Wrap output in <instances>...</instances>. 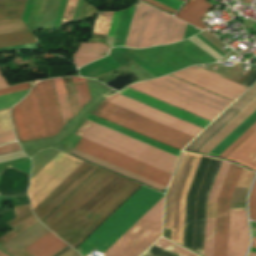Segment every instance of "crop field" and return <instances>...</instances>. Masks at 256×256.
<instances>
[{
	"mask_svg": "<svg viewBox=\"0 0 256 256\" xmlns=\"http://www.w3.org/2000/svg\"><path fill=\"white\" fill-rule=\"evenodd\" d=\"M251 227L256 228V223L251 222Z\"/></svg>",
	"mask_w": 256,
	"mask_h": 256,
	"instance_id": "crop-field-48",
	"label": "crop field"
},
{
	"mask_svg": "<svg viewBox=\"0 0 256 256\" xmlns=\"http://www.w3.org/2000/svg\"><path fill=\"white\" fill-rule=\"evenodd\" d=\"M255 96L256 85L253 86L242 98H240L230 109H228L217 121H215L186 149L195 151L197 148H199ZM255 110L256 97L253 98L242 110H240L230 121H228L217 133H215L195 152L208 154Z\"/></svg>",
	"mask_w": 256,
	"mask_h": 256,
	"instance_id": "crop-field-7",
	"label": "crop field"
},
{
	"mask_svg": "<svg viewBox=\"0 0 256 256\" xmlns=\"http://www.w3.org/2000/svg\"><path fill=\"white\" fill-rule=\"evenodd\" d=\"M186 25L172 16L139 2L136 5L125 46L146 48L180 41L183 39Z\"/></svg>",
	"mask_w": 256,
	"mask_h": 256,
	"instance_id": "crop-field-5",
	"label": "crop field"
},
{
	"mask_svg": "<svg viewBox=\"0 0 256 256\" xmlns=\"http://www.w3.org/2000/svg\"><path fill=\"white\" fill-rule=\"evenodd\" d=\"M86 119L91 120V121H93V122H96V123H98V124H101V125H103V126H106V127L110 128V129H113V130L118 131V132H120V133H123V134H125V135H128V136H130V137H133V138H135V139H138V140H140V141H143V142H145V143H148V144H150V145H153V146H155V147H157V148H160V149H162V150H165V151L170 152V153H172V154H175V155H177V156H178L179 153H180V152L177 151V150H174V149H172V148H170V147H167V146H165V145H162V144H160V143H157V142H155V141H153V140H150V139H148V138H145V137H143V136H141V135H138V134H136V133H133V132H131V131H128V130H126V129H124V128H121V127H119V126H116V125H114V124H111V123H109V122H107V121H104V120H102V119H99V118H97V117H95V116H92V115H90V114L87 115Z\"/></svg>",
	"mask_w": 256,
	"mask_h": 256,
	"instance_id": "crop-field-29",
	"label": "crop field"
},
{
	"mask_svg": "<svg viewBox=\"0 0 256 256\" xmlns=\"http://www.w3.org/2000/svg\"><path fill=\"white\" fill-rule=\"evenodd\" d=\"M47 135L57 134L62 128V122L58 111L51 80L47 79L35 85Z\"/></svg>",
	"mask_w": 256,
	"mask_h": 256,
	"instance_id": "crop-field-16",
	"label": "crop field"
},
{
	"mask_svg": "<svg viewBox=\"0 0 256 256\" xmlns=\"http://www.w3.org/2000/svg\"><path fill=\"white\" fill-rule=\"evenodd\" d=\"M248 244L245 210L230 209L227 256H244Z\"/></svg>",
	"mask_w": 256,
	"mask_h": 256,
	"instance_id": "crop-field-17",
	"label": "crop field"
},
{
	"mask_svg": "<svg viewBox=\"0 0 256 256\" xmlns=\"http://www.w3.org/2000/svg\"><path fill=\"white\" fill-rule=\"evenodd\" d=\"M244 3L251 4L252 0H243Z\"/></svg>",
	"mask_w": 256,
	"mask_h": 256,
	"instance_id": "crop-field-47",
	"label": "crop field"
},
{
	"mask_svg": "<svg viewBox=\"0 0 256 256\" xmlns=\"http://www.w3.org/2000/svg\"><path fill=\"white\" fill-rule=\"evenodd\" d=\"M248 256H256V253L250 252Z\"/></svg>",
	"mask_w": 256,
	"mask_h": 256,
	"instance_id": "crop-field-49",
	"label": "crop field"
},
{
	"mask_svg": "<svg viewBox=\"0 0 256 256\" xmlns=\"http://www.w3.org/2000/svg\"><path fill=\"white\" fill-rule=\"evenodd\" d=\"M204 157V156H203ZM206 158H208V157H206ZM209 159H212V158H209ZM214 160H216V159H214ZM218 161H220V160H218ZM195 252V251H194ZM197 253V252H196Z\"/></svg>",
	"mask_w": 256,
	"mask_h": 256,
	"instance_id": "crop-field-54",
	"label": "crop field"
},
{
	"mask_svg": "<svg viewBox=\"0 0 256 256\" xmlns=\"http://www.w3.org/2000/svg\"><path fill=\"white\" fill-rule=\"evenodd\" d=\"M249 209L251 220L256 221V181L252 187L250 198H249Z\"/></svg>",
	"mask_w": 256,
	"mask_h": 256,
	"instance_id": "crop-field-40",
	"label": "crop field"
},
{
	"mask_svg": "<svg viewBox=\"0 0 256 256\" xmlns=\"http://www.w3.org/2000/svg\"><path fill=\"white\" fill-rule=\"evenodd\" d=\"M26 0H0V21L22 17Z\"/></svg>",
	"mask_w": 256,
	"mask_h": 256,
	"instance_id": "crop-field-30",
	"label": "crop field"
},
{
	"mask_svg": "<svg viewBox=\"0 0 256 256\" xmlns=\"http://www.w3.org/2000/svg\"><path fill=\"white\" fill-rule=\"evenodd\" d=\"M82 161L60 152L31 179L28 195L34 209L46 198Z\"/></svg>",
	"mask_w": 256,
	"mask_h": 256,
	"instance_id": "crop-field-8",
	"label": "crop field"
},
{
	"mask_svg": "<svg viewBox=\"0 0 256 256\" xmlns=\"http://www.w3.org/2000/svg\"><path fill=\"white\" fill-rule=\"evenodd\" d=\"M226 159L233 160L237 163L256 170V132H254Z\"/></svg>",
	"mask_w": 256,
	"mask_h": 256,
	"instance_id": "crop-field-24",
	"label": "crop field"
},
{
	"mask_svg": "<svg viewBox=\"0 0 256 256\" xmlns=\"http://www.w3.org/2000/svg\"><path fill=\"white\" fill-rule=\"evenodd\" d=\"M113 12H99L92 33L107 36Z\"/></svg>",
	"mask_w": 256,
	"mask_h": 256,
	"instance_id": "crop-field-34",
	"label": "crop field"
},
{
	"mask_svg": "<svg viewBox=\"0 0 256 256\" xmlns=\"http://www.w3.org/2000/svg\"><path fill=\"white\" fill-rule=\"evenodd\" d=\"M54 88L56 91L58 103L60 106L61 114L63 117L64 125L65 123L72 118L63 79L62 78H57V79H52Z\"/></svg>",
	"mask_w": 256,
	"mask_h": 256,
	"instance_id": "crop-field-32",
	"label": "crop field"
},
{
	"mask_svg": "<svg viewBox=\"0 0 256 256\" xmlns=\"http://www.w3.org/2000/svg\"><path fill=\"white\" fill-rule=\"evenodd\" d=\"M5 86H8L7 82L5 81L2 73L0 72V88L1 87H5Z\"/></svg>",
	"mask_w": 256,
	"mask_h": 256,
	"instance_id": "crop-field-46",
	"label": "crop field"
},
{
	"mask_svg": "<svg viewBox=\"0 0 256 256\" xmlns=\"http://www.w3.org/2000/svg\"><path fill=\"white\" fill-rule=\"evenodd\" d=\"M105 101L115 104L119 107L147 117L151 120L179 130L183 133L195 137L202 129L166 115L155 109L123 97L119 94L105 99ZM102 101L92 112L96 116L149 136L162 143L177 149L183 147L193 139V137L183 134L179 131L151 121L147 118L119 108L115 105Z\"/></svg>",
	"mask_w": 256,
	"mask_h": 256,
	"instance_id": "crop-field-3",
	"label": "crop field"
},
{
	"mask_svg": "<svg viewBox=\"0 0 256 256\" xmlns=\"http://www.w3.org/2000/svg\"><path fill=\"white\" fill-rule=\"evenodd\" d=\"M75 149L167 186L172 175L81 138Z\"/></svg>",
	"mask_w": 256,
	"mask_h": 256,
	"instance_id": "crop-field-9",
	"label": "crop field"
},
{
	"mask_svg": "<svg viewBox=\"0 0 256 256\" xmlns=\"http://www.w3.org/2000/svg\"><path fill=\"white\" fill-rule=\"evenodd\" d=\"M72 79L76 91L79 108L81 109L89 101H91L87 81L85 78L81 77H72Z\"/></svg>",
	"mask_w": 256,
	"mask_h": 256,
	"instance_id": "crop-field-33",
	"label": "crop field"
},
{
	"mask_svg": "<svg viewBox=\"0 0 256 256\" xmlns=\"http://www.w3.org/2000/svg\"><path fill=\"white\" fill-rule=\"evenodd\" d=\"M66 245L51 232L25 249L33 256H52L65 248Z\"/></svg>",
	"mask_w": 256,
	"mask_h": 256,
	"instance_id": "crop-field-25",
	"label": "crop field"
},
{
	"mask_svg": "<svg viewBox=\"0 0 256 256\" xmlns=\"http://www.w3.org/2000/svg\"><path fill=\"white\" fill-rule=\"evenodd\" d=\"M11 111L20 141L47 137L34 87Z\"/></svg>",
	"mask_w": 256,
	"mask_h": 256,
	"instance_id": "crop-field-10",
	"label": "crop field"
},
{
	"mask_svg": "<svg viewBox=\"0 0 256 256\" xmlns=\"http://www.w3.org/2000/svg\"><path fill=\"white\" fill-rule=\"evenodd\" d=\"M13 129L10 117L9 109L0 111V132Z\"/></svg>",
	"mask_w": 256,
	"mask_h": 256,
	"instance_id": "crop-field-38",
	"label": "crop field"
},
{
	"mask_svg": "<svg viewBox=\"0 0 256 256\" xmlns=\"http://www.w3.org/2000/svg\"><path fill=\"white\" fill-rule=\"evenodd\" d=\"M154 245L176 255V256H196L166 240L160 238Z\"/></svg>",
	"mask_w": 256,
	"mask_h": 256,
	"instance_id": "crop-field-35",
	"label": "crop field"
},
{
	"mask_svg": "<svg viewBox=\"0 0 256 256\" xmlns=\"http://www.w3.org/2000/svg\"><path fill=\"white\" fill-rule=\"evenodd\" d=\"M74 134L172 173L177 156L84 119Z\"/></svg>",
	"mask_w": 256,
	"mask_h": 256,
	"instance_id": "crop-field-4",
	"label": "crop field"
},
{
	"mask_svg": "<svg viewBox=\"0 0 256 256\" xmlns=\"http://www.w3.org/2000/svg\"><path fill=\"white\" fill-rule=\"evenodd\" d=\"M43 226L39 222L36 223L0 248L13 256L16 255L23 248L50 232Z\"/></svg>",
	"mask_w": 256,
	"mask_h": 256,
	"instance_id": "crop-field-22",
	"label": "crop field"
},
{
	"mask_svg": "<svg viewBox=\"0 0 256 256\" xmlns=\"http://www.w3.org/2000/svg\"><path fill=\"white\" fill-rule=\"evenodd\" d=\"M205 1L206 0H189L184 8L179 12L177 17L201 29H206L207 26L200 18L212 7V5L206 3Z\"/></svg>",
	"mask_w": 256,
	"mask_h": 256,
	"instance_id": "crop-field-26",
	"label": "crop field"
},
{
	"mask_svg": "<svg viewBox=\"0 0 256 256\" xmlns=\"http://www.w3.org/2000/svg\"><path fill=\"white\" fill-rule=\"evenodd\" d=\"M201 156L184 152L168 192L165 228L172 229L171 239L182 244L186 194Z\"/></svg>",
	"mask_w": 256,
	"mask_h": 256,
	"instance_id": "crop-field-6",
	"label": "crop field"
},
{
	"mask_svg": "<svg viewBox=\"0 0 256 256\" xmlns=\"http://www.w3.org/2000/svg\"><path fill=\"white\" fill-rule=\"evenodd\" d=\"M16 139L13 130L0 133V143Z\"/></svg>",
	"mask_w": 256,
	"mask_h": 256,
	"instance_id": "crop-field-43",
	"label": "crop field"
},
{
	"mask_svg": "<svg viewBox=\"0 0 256 256\" xmlns=\"http://www.w3.org/2000/svg\"><path fill=\"white\" fill-rule=\"evenodd\" d=\"M139 187L99 168L42 223L75 248Z\"/></svg>",
	"mask_w": 256,
	"mask_h": 256,
	"instance_id": "crop-field-1",
	"label": "crop field"
},
{
	"mask_svg": "<svg viewBox=\"0 0 256 256\" xmlns=\"http://www.w3.org/2000/svg\"><path fill=\"white\" fill-rule=\"evenodd\" d=\"M129 87L134 88L143 93H146L155 98H158L167 103H170L179 108H182L186 111L194 113L198 116L206 118L210 121H212L216 116H218L221 113V111L219 110L206 106L202 103H199L197 101L184 97L180 94H177L175 92L162 88L148 81L133 84V85H130Z\"/></svg>",
	"mask_w": 256,
	"mask_h": 256,
	"instance_id": "crop-field-13",
	"label": "crop field"
},
{
	"mask_svg": "<svg viewBox=\"0 0 256 256\" xmlns=\"http://www.w3.org/2000/svg\"><path fill=\"white\" fill-rule=\"evenodd\" d=\"M135 5L127 10L114 12L109 34L115 36L113 46H124Z\"/></svg>",
	"mask_w": 256,
	"mask_h": 256,
	"instance_id": "crop-field-23",
	"label": "crop field"
},
{
	"mask_svg": "<svg viewBox=\"0 0 256 256\" xmlns=\"http://www.w3.org/2000/svg\"><path fill=\"white\" fill-rule=\"evenodd\" d=\"M28 29L21 19L0 22V33L20 31Z\"/></svg>",
	"mask_w": 256,
	"mask_h": 256,
	"instance_id": "crop-field-36",
	"label": "crop field"
},
{
	"mask_svg": "<svg viewBox=\"0 0 256 256\" xmlns=\"http://www.w3.org/2000/svg\"><path fill=\"white\" fill-rule=\"evenodd\" d=\"M109 47L105 44L81 43L76 54H74V62L77 67L87 64L91 61L106 56Z\"/></svg>",
	"mask_w": 256,
	"mask_h": 256,
	"instance_id": "crop-field-27",
	"label": "crop field"
},
{
	"mask_svg": "<svg viewBox=\"0 0 256 256\" xmlns=\"http://www.w3.org/2000/svg\"><path fill=\"white\" fill-rule=\"evenodd\" d=\"M252 247H253V248H256V244L252 243Z\"/></svg>",
	"mask_w": 256,
	"mask_h": 256,
	"instance_id": "crop-field-53",
	"label": "crop field"
},
{
	"mask_svg": "<svg viewBox=\"0 0 256 256\" xmlns=\"http://www.w3.org/2000/svg\"><path fill=\"white\" fill-rule=\"evenodd\" d=\"M76 4H77V0H68L67 1V5H66V8H65L60 26L64 25L67 22H70L72 20Z\"/></svg>",
	"mask_w": 256,
	"mask_h": 256,
	"instance_id": "crop-field-37",
	"label": "crop field"
},
{
	"mask_svg": "<svg viewBox=\"0 0 256 256\" xmlns=\"http://www.w3.org/2000/svg\"><path fill=\"white\" fill-rule=\"evenodd\" d=\"M96 169L97 167L83 162L46 199H44L33 210L34 214L41 221L55 207H57L70 193H72L88 176H90Z\"/></svg>",
	"mask_w": 256,
	"mask_h": 256,
	"instance_id": "crop-field-14",
	"label": "crop field"
},
{
	"mask_svg": "<svg viewBox=\"0 0 256 256\" xmlns=\"http://www.w3.org/2000/svg\"><path fill=\"white\" fill-rule=\"evenodd\" d=\"M0 256H8V255L0 252Z\"/></svg>",
	"mask_w": 256,
	"mask_h": 256,
	"instance_id": "crop-field-51",
	"label": "crop field"
},
{
	"mask_svg": "<svg viewBox=\"0 0 256 256\" xmlns=\"http://www.w3.org/2000/svg\"><path fill=\"white\" fill-rule=\"evenodd\" d=\"M16 218L6 223L14 230L0 237V246L38 222L29 205L14 206Z\"/></svg>",
	"mask_w": 256,
	"mask_h": 256,
	"instance_id": "crop-field-21",
	"label": "crop field"
},
{
	"mask_svg": "<svg viewBox=\"0 0 256 256\" xmlns=\"http://www.w3.org/2000/svg\"><path fill=\"white\" fill-rule=\"evenodd\" d=\"M150 82H153L162 87H165L167 89H170L172 91L185 95L189 98H192L194 100L207 104L221 111H223L232 103V101L230 100H227L218 95H215L213 93L200 89L196 86H193L191 84L178 80L169 75L151 80Z\"/></svg>",
	"mask_w": 256,
	"mask_h": 256,
	"instance_id": "crop-field-15",
	"label": "crop field"
},
{
	"mask_svg": "<svg viewBox=\"0 0 256 256\" xmlns=\"http://www.w3.org/2000/svg\"><path fill=\"white\" fill-rule=\"evenodd\" d=\"M250 251H252V252H256V249L251 248V249H250Z\"/></svg>",
	"mask_w": 256,
	"mask_h": 256,
	"instance_id": "crop-field-52",
	"label": "crop field"
},
{
	"mask_svg": "<svg viewBox=\"0 0 256 256\" xmlns=\"http://www.w3.org/2000/svg\"><path fill=\"white\" fill-rule=\"evenodd\" d=\"M254 122H256V111L249 116L239 127H237L227 138H225L209 155L217 157L223 152L232 142H234L243 132H245ZM254 131H256V123L253 124L245 133H243L234 143H232L218 157L226 158L232 153L242 142H244Z\"/></svg>",
	"mask_w": 256,
	"mask_h": 256,
	"instance_id": "crop-field-20",
	"label": "crop field"
},
{
	"mask_svg": "<svg viewBox=\"0 0 256 256\" xmlns=\"http://www.w3.org/2000/svg\"><path fill=\"white\" fill-rule=\"evenodd\" d=\"M36 42L30 30L0 35V47Z\"/></svg>",
	"mask_w": 256,
	"mask_h": 256,
	"instance_id": "crop-field-31",
	"label": "crop field"
},
{
	"mask_svg": "<svg viewBox=\"0 0 256 256\" xmlns=\"http://www.w3.org/2000/svg\"><path fill=\"white\" fill-rule=\"evenodd\" d=\"M119 94H121L123 96H126L128 98H131V99H133L135 101H138L140 103H143V104H145L147 106H150L152 108H155V109H157L159 111H162V112H164L166 114H169L171 116H174V117H176L178 119L186 121V122H188L190 124H193L195 126L203 128V129L210 124V122H208V121H205V120H203L201 118H198V117L193 116L191 114H188V113H186L184 111H181L179 109L171 107V106H169L167 104H164L162 102L154 100V99H152L150 97H147L145 95L137 93V92H135L133 90H130L128 88L124 89Z\"/></svg>",
	"mask_w": 256,
	"mask_h": 256,
	"instance_id": "crop-field-19",
	"label": "crop field"
},
{
	"mask_svg": "<svg viewBox=\"0 0 256 256\" xmlns=\"http://www.w3.org/2000/svg\"><path fill=\"white\" fill-rule=\"evenodd\" d=\"M71 154L76 155V156H78V157H80V158H83V159H85V160H88V161H90V162H93V163H95V164H97V165H100V166H102V167H105V168H107V169H109V170H112V171H114V172H117V173H119V174H122V175H124V176H126V177H129V178H131V179H134V180H136V181H139V182H141V183H143V184H146V185H148V186H151V187H153V188H155V189H158V190H160V191H162L163 188H164V186H162V185H159V184H157V183H155V182H152V181L147 180V179H145V178H142V177H140V176H138V175H135V174H133V173H130V172L126 171V170H123V169L118 168V167H116V166H113V165H111V164H109V163H106V162H104V161H101V160H99V159H96V158H94V157H92V156H89V155H87V154H84V153H82V152H80V151H77V150H75V149L72 150Z\"/></svg>",
	"mask_w": 256,
	"mask_h": 256,
	"instance_id": "crop-field-28",
	"label": "crop field"
},
{
	"mask_svg": "<svg viewBox=\"0 0 256 256\" xmlns=\"http://www.w3.org/2000/svg\"><path fill=\"white\" fill-rule=\"evenodd\" d=\"M170 75L223 96L232 101L237 99L248 88L238 85L230 80H226L222 78L221 75L204 69L200 66H191Z\"/></svg>",
	"mask_w": 256,
	"mask_h": 256,
	"instance_id": "crop-field-11",
	"label": "crop field"
},
{
	"mask_svg": "<svg viewBox=\"0 0 256 256\" xmlns=\"http://www.w3.org/2000/svg\"><path fill=\"white\" fill-rule=\"evenodd\" d=\"M241 169V167L230 164L225 181L218 197L213 256H226L230 198Z\"/></svg>",
	"mask_w": 256,
	"mask_h": 256,
	"instance_id": "crop-field-12",
	"label": "crop field"
},
{
	"mask_svg": "<svg viewBox=\"0 0 256 256\" xmlns=\"http://www.w3.org/2000/svg\"><path fill=\"white\" fill-rule=\"evenodd\" d=\"M253 176L254 173L243 168L236 187L248 188Z\"/></svg>",
	"mask_w": 256,
	"mask_h": 256,
	"instance_id": "crop-field-39",
	"label": "crop field"
},
{
	"mask_svg": "<svg viewBox=\"0 0 256 256\" xmlns=\"http://www.w3.org/2000/svg\"><path fill=\"white\" fill-rule=\"evenodd\" d=\"M28 88H31L28 83L20 84V85H16V86H13V87L1 89L0 90V95L8 94V93L28 89Z\"/></svg>",
	"mask_w": 256,
	"mask_h": 256,
	"instance_id": "crop-field-41",
	"label": "crop field"
},
{
	"mask_svg": "<svg viewBox=\"0 0 256 256\" xmlns=\"http://www.w3.org/2000/svg\"><path fill=\"white\" fill-rule=\"evenodd\" d=\"M19 150H20V148H19L17 142L10 143V144L4 145V146H0V155L5 154V153L19 151Z\"/></svg>",
	"mask_w": 256,
	"mask_h": 256,
	"instance_id": "crop-field-42",
	"label": "crop field"
},
{
	"mask_svg": "<svg viewBox=\"0 0 256 256\" xmlns=\"http://www.w3.org/2000/svg\"><path fill=\"white\" fill-rule=\"evenodd\" d=\"M164 195L141 187L79 247L105 252ZM164 197L133 225L104 256H139L161 235Z\"/></svg>",
	"mask_w": 256,
	"mask_h": 256,
	"instance_id": "crop-field-2",
	"label": "crop field"
},
{
	"mask_svg": "<svg viewBox=\"0 0 256 256\" xmlns=\"http://www.w3.org/2000/svg\"><path fill=\"white\" fill-rule=\"evenodd\" d=\"M251 229H253V228H251ZM254 230H256V229H254Z\"/></svg>",
	"mask_w": 256,
	"mask_h": 256,
	"instance_id": "crop-field-55",
	"label": "crop field"
},
{
	"mask_svg": "<svg viewBox=\"0 0 256 256\" xmlns=\"http://www.w3.org/2000/svg\"><path fill=\"white\" fill-rule=\"evenodd\" d=\"M252 242L256 243V238L252 237Z\"/></svg>",
	"mask_w": 256,
	"mask_h": 256,
	"instance_id": "crop-field-50",
	"label": "crop field"
},
{
	"mask_svg": "<svg viewBox=\"0 0 256 256\" xmlns=\"http://www.w3.org/2000/svg\"><path fill=\"white\" fill-rule=\"evenodd\" d=\"M229 164L230 163L228 162H224V161L222 162L217 178L215 180L214 186L212 188L211 194L209 196L204 256L213 255L217 197L220 192Z\"/></svg>",
	"mask_w": 256,
	"mask_h": 256,
	"instance_id": "crop-field-18",
	"label": "crop field"
},
{
	"mask_svg": "<svg viewBox=\"0 0 256 256\" xmlns=\"http://www.w3.org/2000/svg\"><path fill=\"white\" fill-rule=\"evenodd\" d=\"M156 1H159V2H161V3H163V4L168 5V6H170V7H172V8H174V9L177 10V8H179V7L183 4V2H185L186 0H181V1H183V2H181V1H179V0H162V1L166 2V3H169V4H171V5L175 6V7H177V8H175V7H173V6L169 5V4H166V3H164V2H162V1H160V0H156Z\"/></svg>",
	"mask_w": 256,
	"mask_h": 256,
	"instance_id": "crop-field-44",
	"label": "crop field"
},
{
	"mask_svg": "<svg viewBox=\"0 0 256 256\" xmlns=\"http://www.w3.org/2000/svg\"><path fill=\"white\" fill-rule=\"evenodd\" d=\"M145 1H147L149 3H152V4L158 6V7L162 8V9H165V10H167V11L173 13V14L176 12V10H174V9L168 7V6H165V5H163V4L159 3V2H156L154 0H145Z\"/></svg>",
	"mask_w": 256,
	"mask_h": 256,
	"instance_id": "crop-field-45",
	"label": "crop field"
}]
</instances>
